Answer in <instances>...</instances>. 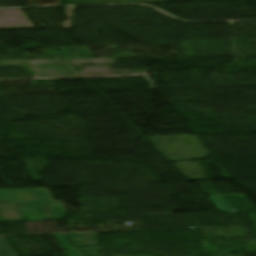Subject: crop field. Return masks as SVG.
Returning a JSON list of instances; mask_svg holds the SVG:
<instances>
[{
	"label": "crop field",
	"mask_w": 256,
	"mask_h": 256,
	"mask_svg": "<svg viewBox=\"0 0 256 256\" xmlns=\"http://www.w3.org/2000/svg\"><path fill=\"white\" fill-rule=\"evenodd\" d=\"M0 240L3 242V244L6 246V248L9 250V252L12 254V256H18L17 253L12 249V247L8 244V242L5 240L4 237H0ZM1 242V243H2ZM4 246V247H5Z\"/></svg>",
	"instance_id": "crop-field-1"
},
{
	"label": "crop field",
	"mask_w": 256,
	"mask_h": 256,
	"mask_svg": "<svg viewBox=\"0 0 256 256\" xmlns=\"http://www.w3.org/2000/svg\"><path fill=\"white\" fill-rule=\"evenodd\" d=\"M0 256H10L6 249L0 243Z\"/></svg>",
	"instance_id": "crop-field-2"
}]
</instances>
